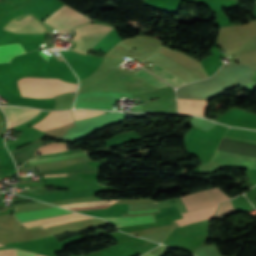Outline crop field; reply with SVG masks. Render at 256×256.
I'll use <instances>...</instances> for the list:
<instances>
[{
    "label": "crop field",
    "mask_w": 256,
    "mask_h": 256,
    "mask_svg": "<svg viewBox=\"0 0 256 256\" xmlns=\"http://www.w3.org/2000/svg\"><path fill=\"white\" fill-rule=\"evenodd\" d=\"M18 86L22 96L50 98L60 93L75 91L77 85L58 79L24 77L19 80Z\"/></svg>",
    "instance_id": "crop-field-1"
},
{
    "label": "crop field",
    "mask_w": 256,
    "mask_h": 256,
    "mask_svg": "<svg viewBox=\"0 0 256 256\" xmlns=\"http://www.w3.org/2000/svg\"><path fill=\"white\" fill-rule=\"evenodd\" d=\"M181 198L188 211L211 206L215 203L230 199V197H228L219 188L183 196Z\"/></svg>",
    "instance_id": "crop-field-2"
},
{
    "label": "crop field",
    "mask_w": 256,
    "mask_h": 256,
    "mask_svg": "<svg viewBox=\"0 0 256 256\" xmlns=\"http://www.w3.org/2000/svg\"><path fill=\"white\" fill-rule=\"evenodd\" d=\"M73 121L74 120L70 111H51L45 119L41 120L33 126L42 130H46L57 128Z\"/></svg>",
    "instance_id": "crop-field-3"
},
{
    "label": "crop field",
    "mask_w": 256,
    "mask_h": 256,
    "mask_svg": "<svg viewBox=\"0 0 256 256\" xmlns=\"http://www.w3.org/2000/svg\"><path fill=\"white\" fill-rule=\"evenodd\" d=\"M213 162L224 163L245 168H256V159L217 150Z\"/></svg>",
    "instance_id": "crop-field-4"
},
{
    "label": "crop field",
    "mask_w": 256,
    "mask_h": 256,
    "mask_svg": "<svg viewBox=\"0 0 256 256\" xmlns=\"http://www.w3.org/2000/svg\"><path fill=\"white\" fill-rule=\"evenodd\" d=\"M66 213H72V212L54 207V208L44 209V210L18 212L16 213V215L21 222H25V221H31V220H36V219L51 217L55 215L66 214ZM13 216L16 218L14 213H13ZM18 219L17 221L20 222Z\"/></svg>",
    "instance_id": "crop-field-5"
},
{
    "label": "crop field",
    "mask_w": 256,
    "mask_h": 256,
    "mask_svg": "<svg viewBox=\"0 0 256 256\" xmlns=\"http://www.w3.org/2000/svg\"><path fill=\"white\" fill-rule=\"evenodd\" d=\"M180 113L206 115L208 101L178 99Z\"/></svg>",
    "instance_id": "crop-field-6"
},
{
    "label": "crop field",
    "mask_w": 256,
    "mask_h": 256,
    "mask_svg": "<svg viewBox=\"0 0 256 256\" xmlns=\"http://www.w3.org/2000/svg\"><path fill=\"white\" fill-rule=\"evenodd\" d=\"M218 205L183 213L184 219L177 220L176 222L181 226L194 221L212 218Z\"/></svg>",
    "instance_id": "crop-field-7"
},
{
    "label": "crop field",
    "mask_w": 256,
    "mask_h": 256,
    "mask_svg": "<svg viewBox=\"0 0 256 256\" xmlns=\"http://www.w3.org/2000/svg\"><path fill=\"white\" fill-rule=\"evenodd\" d=\"M104 219H107L113 223H116L117 224L115 225L116 227H123V226L156 221L154 218V214L149 216H142V217H115V218H104Z\"/></svg>",
    "instance_id": "crop-field-8"
},
{
    "label": "crop field",
    "mask_w": 256,
    "mask_h": 256,
    "mask_svg": "<svg viewBox=\"0 0 256 256\" xmlns=\"http://www.w3.org/2000/svg\"><path fill=\"white\" fill-rule=\"evenodd\" d=\"M24 52L23 47L19 43L0 45V63L10 62L12 57Z\"/></svg>",
    "instance_id": "crop-field-9"
},
{
    "label": "crop field",
    "mask_w": 256,
    "mask_h": 256,
    "mask_svg": "<svg viewBox=\"0 0 256 256\" xmlns=\"http://www.w3.org/2000/svg\"><path fill=\"white\" fill-rule=\"evenodd\" d=\"M154 73H156L157 75H159L160 77H162L163 79H165L166 81H168L169 83L174 85L175 87H178V86L184 84V82L180 81L179 79H177L176 77H174L167 71L163 70L156 64H154Z\"/></svg>",
    "instance_id": "crop-field-10"
},
{
    "label": "crop field",
    "mask_w": 256,
    "mask_h": 256,
    "mask_svg": "<svg viewBox=\"0 0 256 256\" xmlns=\"http://www.w3.org/2000/svg\"><path fill=\"white\" fill-rule=\"evenodd\" d=\"M68 150L67 145L63 143H54L44 145L41 148L37 149L34 154H42V153H49V152H58V151H65Z\"/></svg>",
    "instance_id": "crop-field-11"
},
{
    "label": "crop field",
    "mask_w": 256,
    "mask_h": 256,
    "mask_svg": "<svg viewBox=\"0 0 256 256\" xmlns=\"http://www.w3.org/2000/svg\"><path fill=\"white\" fill-rule=\"evenodd\" d=\"M134 74L138 75L139 77H141L142 79L146 80L147 82H149L150 84L154 85L157 88L163 87V86H167L161 80H159L158 78L154 77L153 75L149 74L148 72H146V71H144L142 69L137 71Z\"/></svg>",
    "instance_id": "crop-field-12"
},
{
    "label": "crop field",
    "mask_w": 256,
    "mask_h": 256,
    "mask_svg": "<svg viewBox=\"0 0 256 256\" xmlns=\"http://www.w3.org/2000/svg\"><path fill=\"white\" fill-rule=\"evenodd\" d=\"M85 154H86L85 152L79 151V152L65 154V155L45 157V158H37V159L30 160V164L39 163V162L53 161V160H58V159L70 158V157H76V156H81V155H85Z\"/></svg>",
    "instance_id": "crop-field-13"
},
{
    "label": "crop field",
    "mask_w": 256,
    "mask_h": 256,
    "mask_svg": "<svg viewBox=\"0 0 256 256\" xmlns=\"http://www.w3.org/2000/svg\"><path fill=\"white\" fill-rule=\"evenodd\" d=\"M74 119L79 120V119H85L89 118L95 115L104 114V112H95V111H72Z\"/></svg>",
    "instance_id": "crop-field-14"
},
{
    "label": "crop field",
    "mask_w": 256,
    "mask_h": 256,
    "mask_svg": "<svg viewBox=\"0 0 256 256\" xmlns=\"http://www.w3.org/2000/svg\"><path fill=\"white\" fill-rule=\"evenodd\" d=\"M233 208H232V205H231V202H226L224 204H222L219 208V210L217 211L215 217H218V216H222V215H226V214H229V213H233Z\"/></svg>",
    "instance_id": "crop-field-15"
},
{
    "label": "crop field",
    "mask_w": 256,
    "mask_h": 256,
    "mask_svg": "<svg viewBox=\"0 0 256 256\" xmlns=\"http://www.w3.org/2000/svg\"><path fill=\"white\" fill-rule=\"evenodd\" d=\"M15 251H16V256H37L35 253H31V252L16 249V248H15Z\"/></svg>",
    "instance_id": "crop-field-16"
},
{
    "label": "crop field",
    "mask_w": 256,
    "mask_h": 256,
    "mask_svg": "<svg viewBox=\"0 0 256 256\" xmlns=\"http://www.w3.org/2000/svg\"><path fill=\"white\" fill-rule=\"evenodd\" d=\"M67 6H63L61 7L59 10H57L56 12H54L52 15H50L44 22H49L51 19H53L55 16H57L60 12H62L64 9H66Z\"/></svg>",
    "instance_id": "crop-field-17"
},
{
    "label": "crop field",
    "mask_w": 256,
    "mask_h": 256,
    "mask_svg": "<svg viewBox=\"0 0 256 256\" xmlns=\"http://www.w3.org/2000/svg\"><path fill=\"white\" fill-rule=\"evenodd\" d=\"M38 53L42 56V58H44L45 60H48L49 55L45 54V53L42 52V51H40V52H38Z\"/></svg>",
    "instance_id": "crop-field-18"
},
{
    "label": "crop field",
    "mask_w": 256,
    "mask_h": 256,
    "mask_svg": "<svg viewBox=\"0 0 256 256\" xmlns=\"http://www.w3.org/2000/svg\"><path fill=\"white\" fill-rule=\"evenodd\" d=\"M157 210H159V209L147 210V211H128V213L151 212V211H157Z\"/></svg>",
    "instance_id": "crop-field-19"
},
{
    "label": "crop field",
    "mask_w": 256,
    "mask_h": 256,
    "mask_svg": "<svg viewBox=\"0 0 256 256\" xmlns=\"http://www.w3.org/2000/svg\"><path fill=\"white\" fill-rule=\"evenodd\" d=\"M143 256H154V255L147 253V254H145Z\"/></svg>",
    "instance_id": "crop-field-20"
},
{
    "label": "crop field",
    "mask_w": 256,
    "mask_h": 256,
    "mask_svg": "<svg viewBox=\"0 0 256 256\" xmlns=\"http://www.w3.org/2000/svg\"><path fill=\"white\" fill-rule=\"evenodd\" d=\"M2 119L1 115H0V120Z\"/></svg>",
    "instance_id": "crop-field-21"
},
{
    "label": "crop field",
    "mask_w": 256,
    "mask_h": 256,
    "mask_svg": "<svg viewBox=\"0 0 256 256\" xmlns=\"http://www.w3.org/2000/svg\"><path fill=\"white\" fill-rule=\"evenodd\" d=\"M38 256H42V255H39V254H38Z\"/></svg>",
    "instance_id": "crop-field-22"
},
{
    "label": "crop field",
    "mask_w": 256,
    "mask_h": 256,
    "mask_svg": "<svg viewBox=\"0 0 256 256\" xmlns=\"http://www.w3.org/2000/svg\"><path fill=\"white\" fill-rule=\"evenodd\" d=\"M0 246H2V244H0Z\"/></svg>",
    "instance_id": "crop-field-23"
}]
</instances>
